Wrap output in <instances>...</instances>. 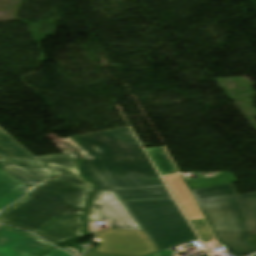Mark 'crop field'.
Instances as JSON below:
<instances>
[{
    "mask_svg": "<svg viewBox=\"0 0 256 256\" xmlns=\"http://www.w3.org/2000/svg\"><path fill=\"white\" fill-rule=\"evenodd\" d=\"M101 240L97 251L143 256L157 251L143 230L109 229L97 234Z\"/></svg>",
    "mask_w": 256,
    "mask_h": 256,
    "instance_id": "6",
    "label": "crop field"
},
{
    "mask_svg": "<svg viewBox=\"0 0 256 256\" xmlns=\"http://www.w3.org/2000/svg\"><path fill=\"white\" fill-rule=\"evenodd\" d=\"M71 139L91 160H81L82 174L97 189L163 187L114 191L123 200L171 198L166 187L128 127Z\"/></svg>",
    "mask_w": 256,
    "mask_h": 256,
    "instance_id": "2",
    "label": "crop field"
},
{
    "mask_svg": "<svg viewBox=\"0 0 256 256\" xmlns=\"http://www.w3.org/2000/svg\"><path fill=\"white\" fill-rule=\"evenodd\" d=\"M86 220L107 221L110 228L141 229L112 191L94 193Z\"/></svg>",
    "mask_w": 256,
    "mask_h": 256,
    "instance_id": "7",
    "label": "crop field"
},
{
    "mask_svg": "<svg viewBox=\"0 0 256 256\" xmlns=\"http://www.w3.org/2000/svg\"><path fill=\"white\" fill-rule=\"evenodd\" d=\"M0 168L23 183L30 190L55 177L51 170L1 128Z\"/></svg>",
    "mask_w": 256,
    "mask_h": 256,
    "instance_id": "5",
    "label": "crop field"
},
{
    "mask_svg": "<svg viewBox=\"0 0 256 256\" xmlns=\"http://www.w3.org/2000/svg\"><path fill=\"white\" fill-rule=\"evenodd\" d=\"M84 256H121V255H114V254L86 251Z\"/></svg>",
    "mask_w": 256,
    "mask_h": 256,
    "instance_id": "12",
    "label": "crop field"
},
{
    "mask_svg": "<svg viewBox=\"0 0 256 256\" xmlns=\"http://www.w3.org/2000/svg\"><path fill=\"white\" fill-rule=\"evenodd\" d=\"M192 193L219 242L237 256L256 251L244 239L256 234V193L238 195L233 184Z\"/></svg>",
    "mask_w": 256,
    "mask_h": 256,
    "instance_id": "3",
    "label": "crop field"
},
{
    "mask_svg": "<svg viewBox=\"0 0 256 256\" xmlns=\"http://www.w3.org/2000/svg\"><path fill=\"white\" fill-rule=\"evenodd\" d=\"M160 256L173 254L171 247L197 239L173 199L123 202Z\"/></svg>",
    "mask_w": 256,
    "mask_h": 256,
    "instance_id": "4",
    "label": "crop field"
},
{
    "mask_svg": "<svg viewBox=\"0 0 256 256\" xmlns=\"http://www.w3.org/2000/svg\"><path fill=\"white\" fill-rule=\"evenodd\" d=\"M146 151L162 176L178 171L165 147L150 148Z\"/></svg>",
    "mask_w": 256,
    "mask_h": 256,
    "instance_id": "10",
    "label": "crop field"
},
{
    "mask_svg": "<svg viewBox=\"0 0 256 256\" xmlns=\"http://www.w3.org/2000/svg\"><path fill=\"white\" fill-rule=\"evenodd\" d=\"M28 190L0 170V210L23 197Z\"/></svg>",
    "mask_w": 256,
    "mask_h": 256,
    "instance_id": "9",
    "label": "crop field"
},
{
    "mask_svg": "<svg viewBox=\"0 0 256 256\" xmlns=\"http://www.w3.org/2000/svg\"><path fill=\"white\" fill-rule=\"evenodd\" d=\"M51 248L30 233L8 226L0 228V256H37Z\"/></svg>",
    "mask_w": 256,
    "mask_h": 256,
    "instance_id": "8",
    "label": "crop field"
},
{
    "mask_svg": "<svg viewBox=\"0 0 256 256\" xmlns=\"http://www.w3.org/2000/svg\"><path fill=\"white\" fill-rule=\"evenodd\" d=\"M118 190H120V189H118ZM98 191H103V190H98Z\"/></svg>",
    "mask_w": 256,
    "mask_h": 256,
    "instance_id": "15",
    "label": "crop field"
},
{
    "mask_svg": "<svg viewBox=\"0 0 256 256\" xmlns=\"http://www.w3.org/2000/svg\"><path fill=\"white\" fill-rule=\"evenodd\" d=\"M56 178L3 210L0 222L31 231L57 245L84 236L85 209L94 186L79 175L70 155L36 157Z\"/></svg>",
    "mask_w": 256,
    "mask_h": 256,
    "instance_id": "1",
    "label": "crop field"
},
{
    "mask_svg": "<svg viewBox=\"0 0 256 256\" xmlns=\"http://www.w3.org/2000/svg\"><path fill=\"white\" fill-rule=\"evenodd\" d=\"M254 247H256V235L246 238Z\"/></svg>",
    "mask_w": 256,
    "mask_h": 256,
    "instance_id": "13",
    "label": "crop field"
},
{
    "mask_svg": "<svg viewBox=\"0 0 256 256\" xmlns=\"http://www.w3.org/2000/svg\"><path fill=\"white\" fill-rule=\"evenodd\" d=\"M44 256H71V255H69L68 253H66L62 250H59V249L55 248L50 253H48Z\"/></svg>",
    "mask_w": 256,
    "mask_h": 256,
    "instance_id": "11",
    "label": "crop field"
},
{
    "mask_svg": "<svg viewBox=\"0 0 256 256\" xmlns=\"http://www.w3.org/2000/svg\"><path fill=\"white\" fill-rule=\"evenodd\" d=\"M146 256H158V255L152 253V254H149V255H146Z\"/></svg>",
    "mask_w": 256,
    "mask_h": 256,
    "instance_id": "14",
    "label": "crop field"
}]
</instances>
